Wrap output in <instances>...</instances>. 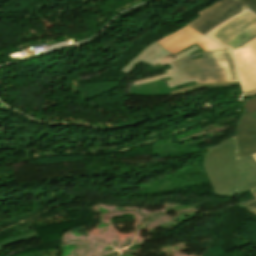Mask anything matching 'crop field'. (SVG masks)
I'll return each instance as SVG.
<instances>
[{"label": "crop field", "mask_w": 256, "mask_h": 256, "mask_svg": "<svg viewBox=\"0 0 256 256\" xmlns=\"http://www.w3.org/2000/svg\"><path fill=\"white\" fill-rule=\"evenodd\" d=\"M253 95H256V90H253V91H249V92L244 93V98H245V97H249V96H253Z\"/></svg>", "instance_id": "crop-field-12"}, {"label": "crop field", "mask_w": 256, "mask_h": 256, "mask_svg": "<svg viewBox=\"0 0 256 256\" xmlns=\"http://www.w3.org/2000/svg\"><path fill=\"white\" fill-rule=\"evenodd\" d=\"M208 36L232 48L244 92L256 89V16L245 11Z\"/></svg>", "instance_id": "crop-field-2"}, {"label": "crop field", "mask_w": 256, "mask_h": 256, "mask_svg": "<svg viewBox=\"0 0 256 256\" xmlns=\"http://www.w3.org/2000/svg\"><path fill=\"white\" fill-rule=\"evenodd\" d=\"M252 157L256 160V154H255V155H252Z\"/></svg>", "instance_id": "crop-field-13"}, {"label": "crop field", "mask_w": 256, "mask_h": 256, "mask_svg": "<svg viewBox=\"0 0 256 256\" xmlns=\"http://www.w3.org/2000/svg\"><path fill=\"white\" fill-rule=\"evenodd\" d=\"M240 192L256 186V161L251 157L238 159Z\"/></svg>", "instance_id": "crop-field-8"}, {"label": "crop field", "mask_w": 256, "mask_h": 256, "mask_svg": "<svg viewBox=\"0 0 256 256\" xmlns=\"http://www.w3.org/2000/svg\"><path fill=\"white\" fill-rule=\"evenodd\" d=\"M206 149L203 164L215 195L240 193L236 159L256 153V114L240 117L235 137Z\"/></svg>", "instance_id": "crop-field-1"}, {"label": "crop field", "mask_w": 256, "mask_h": 256, "mask_svg": "<svg viewBox=\"0 0 256 256\" xmlns=\"http://www.w3.org/2000/svg\"><path fill=\"white\" fill-rule=\"evenodd\" d=\"M242 3H244L248 9H250L252 12L256 14V0H240Z\"/></svg>", "instance_id": "crop-field-10"}, {"label": "crop field", "mask_w": 256, "mask_h": 256, "mask_svg": "<svg viewBox=\"0 0 256 256\" xmlns=\"http://www.w3.org/2000/svg\"><path fill=\"white\" fill-rule=\"evenodd\" d=\"M169 66L172 69L166 71L168 74L161 75V76H158V77H152V78L142 80V81H136V82L133 83V86L143 84V83H146V82H150V81H153V80L161 79V78L168 77V76H170L171 79H172V80L166 81L170 88H172L174 86H177V85H180V84H183V83L194 81L191 78H189L185 73H183L181 70H179L177 67H175L174 65L170 64ZM233 85H240V83L239 82H230V83H216V84H205V85H199L198 84L196 86H192V87H188V88H185V89L173 91L171 93L174 96V95H177V94H182V93H186V92H190V91H194V90H198V89H202V88H215V87L233 86Z\"/></svg>", "instance_id": "crop-field-7"}, {"label": "crop field", "mask_w": 256, "mask_h": 256, "mask_svg": "<svg viewBox=\"0 0 256 256\" xmlns=\"http://www.w3.org/2000/svg\"><path fill=\"white\" fill-rule=\"evenodd\" d=\"M198 49L200 48L196 45L176 56H173L153 43L148 47H146L138 56H136L135 59L123 69V71L126 73H129L131 70H133L136 67V65L140 61L146 62L150 65H154L158 62L161 65L169 64L175 60H178L184 56H187L188 54Z\"/></svg>", "instance_id": "crop-field-6"}, {"label": "crop field", "mask_w": 256, "mask_h": 256, "mask_svg": "<svg viewBox=\"0 0 256 256\" xmlns=\"http://www.w3.org/2000/svg\"><path fill=\"white\" fill-rule=\"evenodd\" d=\"M154 43L173 55L195 44H197L203 52L227 49V47L205 37L188 25Z\"/></svg>", "instance_id": "crop-field-4"}, {"label": "crop field", "mask_w": 256, "mask_h": 256, "mask_svg": "<svg viewBox=\"0 0 256 256\" xmlns=\"http://www.w3.org/2000/svg\"><path fill=\"white\" fill-rule=\"evenodd\" d=\"M245 9L247 7L239 0H219L199 12L201 16L188 25L205 35L215 26Z\"/></svg>", "instance_id": "crop-field-5"}, {"label": "crop field", "mask_w": 256, "mask_h": 256, "mask_svg": "<svg viewBox=\"0 0 256 256\" xmlns=\"http://www.w3.org/2000/svg\"><path fill=\"white\" fill-rule=\"evenodd\" d=\"M172 64L199 84L239 81L230 50L190 55Z\"/></svg>", "instance_id": "crop-field-3"}, {"label": "crop field", "mask_w": 256, "mask_h": 256, "mask_svg": "<svg viewBox=\"0 0 256 256\" xmlns=\"http://www.w3.org/2000/svg\"><path fill=\"white\" fill-rule=\"evenodd\" d=\"M244 206L256 216V200L246 203Z\"/></svg>", "instance_id": "crop-field-11"}, {"label": "crop field", "mask_w": 256, "mask_h": 256, "mask_svg": "<svg viewBox=\"0 0 256 256\" xmlns=\"http://www.w3.org/2000/svg\"><path fill=\"white\" fill-rule=\"evenodd\" d=\"M256 113V96L244 99L242 116Z\"/></svg>", "instance_id": "crop-field-9"}]
</instances>
